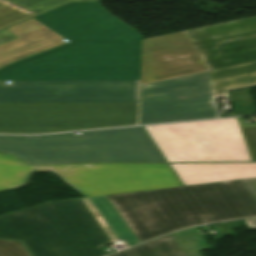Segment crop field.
Returning a JSON list of instances; mask_svg holds the SVG:
<instances>
[{
    "instance_id": "1",
    "label": "crop field",
    "mask_w": 256,
    "mask_h": 256,
    "mask_svg": "<svg viewBox=\"0 0 256 256\" xmlns=\"http://www.w3.org/2000/svg\"><path fill=\"white\" fill-rule=\"evenodd\" d=\"M36 20L70 42L0 69V103L138 102L140 35L97 2Z\"/></svg>"
},
{
    "instance_id": "2",
    "label": "crop field",
    "mask_w": 256,
    "mask_h": 256,
    "mask_svg": "<svg viewBox=\"0 0 256 256\" xmlns=\"http://www.w3.org/2000/svg\"><path fill=\"white\" fill-rule=\"evenodd\" d=\"M0 238L20 240L34 256H104L119 239L139 243L107 196L45 203L0 217Z\"/></svg>"
},
{
    "instance_id": "3",
    "label": "crop field",
    "mask_w": 256,
    "mask_h": 256,
    "mask_svg": "<svg viewBox=\"0 0 256 256\" xmlns=\"http://www.w3.org/2000/svg\"><path fill=\"white\" fill-rule=\"evenodd\" d=\"M108 197L140 242L191 225L256 216L239 180Z\"/></svg>"
},
{
    "instance_id": "4",
    "label": "crop field",
    "mask_w": 256,
    "mask_h": 256,
    "mask_svg": "<svg viewBox=\"0 0 256 256\" xmlns=\"http://www.w3.org/2000/svg\"><path fill=\"white\" fill-rule=\"evenodd\" d=\"M256 61V17L142 41L141 84Z\"/></svg>"
},
{
    "instance_id": "5",
    "label": "crop field",
    "mask_w": 256,
    "mask_h": 256,
    "mask_svg": "<svg viewBox=\"0 0 256 256\" xmlns=\"http://www.w3.org/2000/svg\"><path fill=\"white\" fill-rule=\"evenodd\" d=\"M0 152L34 163L166 162L142 127L43 136H0Z\"/></svg>"
},
{
    "instance_id": "6",
    "label": "crop field",
    "mask_w": 256,
    "mask_h": 256,
    "mask_svg": "<svg viewBox=\"0 0 256 256\" xmlns=\"http://www.w3.org/2000/svg\"><path fill=\"white\" fill-rule=\"evenodd\" d=\"M256 85V62L141 86L140 124L217 117L213 100Z\"/></svg>"
},
{
    "instance_id": "7",
    "label": "crop field",
    "mask_w": 256,
    "mask_h": 256,
    "mask_svg": "<svg viewBox=\"0 0 256 256\" xmlns=\"http://www.w3.org/2000/svg\"><path fill=\"white\" fill-rule=\"evenodd\" d=\"M31 172H53L84 197L181 186L167 164L29 165L0 154V190L23 185Z\"/></svg>"
},
{
    "instance_id": "8",
    "label": "crop field",
    "mask_w": 256,
    "mask_h": 256,
    "mask_svg": "<svg viewBox=\"0 0 256 256\" xmlns=\"http://www.w3.org/2000/svg\"><path fill=\"white\" fill-rule=\"evenodd\" d=\"M138 103L0 104V133L38 134L137 124Z\"/></svg>"
},
{
    "instance_id": "9",
    "label": "crop field",
    "mask_w": 256,
    "mask_h": 256,
    "mask_svg": "<svg viewBox=\"0 0 256 256\" xmlns=\"http://www.w3.org/2000/svg\"><path fill=\"white\" fill-rule=\"evenodd\" d=\"M145 128L168 162L251 161L237 118Z\"/></svg>"
},
{
    "instance_id": "10",
    "label": "crop field",
    "mask_w": 256,
    "mask_h": 256,
    "mask_svg": "<svg viewBox=\"0 0 256 256\" xmlns=\"http://www.w3.org/2000/svg\"><path fill=\"white\" fill-rule=\"evenodd\" d=\"M18 38L0 44V66L64 43L62 37L31 18L7 28Z\"/></svg>"
},
{
    "instance_id": "11",
    "label": "crop field",
    "mask_w": 256,
    "mask_h": 256,
    "mask_svg": "<svg viewBox=\"0 0 256 256\" xmlns=\"http://www.w3.org/2000/svg\"><path fill=\"white\" fill-rule=\"evenodd\" d=\"M185 186L256 177L255 163L170 164Z\"/></svg>"
},
{
    "instance_id": "12",
    "label": "crop field",
    "mask_w": 256,
    "mask_h": 256,
    "mask_svg": "<svg viewBox=\"0 0 256 256\" xmlns=\"http://www.w3.org/2000/svg\"><path fill=\"white\" fill-rule=\"evenodd\" d=\"M111 256H187L173 235L128 249Z\"/></svg>"
},
{
    "instance_id": "13",
    "label": "crop field",
    "mask_w": 256,
    "mask_h": 256,
    "mask_svg": "<svg viewBox=\"0 0 256 256\" xmlns=\"http://www.w3.org/2000/svg\"><path fill=\"white\" fill-rule=\"evenodd\" d=\"M189 256H201L198 250L209 249L210 246L196 227L174 232Z\"/></svg>"
},
{
    "instance_id": "14",
    "label": "crop field",
    "mask_w": 256,
    "mask_h": 256,
    "mask_svg": "<svg viewBox=\"0 0 256 256\" xmlns=\"http://www.w3.org/2000/svg\"><path fill=\"white\" fill-rule=\"evenodd\" d=\"M35 16V14L24 10L7 1L0 0V28Z\"/></svg>"
},
{
    "instance_id": "15",
    "label": "crop field",
    "mask_w": 256,
    "mask_h": 256,
    "mask_svg": "<svg viewBox=\"0 0 256 256\" xmlns=\"http://www.w3.org/2000/svg\"><path fill=\"white\" fill-rule=\"evenodd\" d=\"M38 14L51 10L70 1H121V0H10Z\"/></svg>"
},
{
    "instance_id": "16",
    "label": "crop field",
    "mask_w": 256,
    "mask_h": 256,
    "mask_svg": "<svg viewBox=\"0 0 256 256\" xmlns=\"http://www.w3.org/2000/svg\"><path fill=\"white\" fill-rule=\"evenodd\" d=\"M26 250L20 242L0 241V256H30Z\"/></svg>"
},
{
    "instance_id": "17",
    "label": "crop field",
    "mask_w": 256,
    "mask_h": 256,
    "mask_svg": "<svg viewBox=\"0 0 256 256\" xmlns=\"http://www.w3.org/2000/svg\"><path fill=\"white\" fill-rule=\"evenodd\" d=\"M245 136L251 160L256 161V128L242 129Z\"/></svg>"
},
{
    "instance_id": "18",
    "label": "crop field",
    "mask_w": 256,
    "mask_h": 256,
    "mask_svg": "<svg viewBox=\"0 0 256 256\" xmlns=\"http://www.w3.org/2000/svg\"><path fill=\"white\" fill-rule=\"evenodd\" d=\"M253 200L256 202V178L240 180Z\"/></svg>"
},
{
    "instance_id": "19",
    "label": "crop field",
    "mask_w": 256,
    "mask_h": 256,
    "mask_svg": "<svg viewBox=\"0 0 256 256\" xmlns=\"http://www.w3.org/2000/svg\"><path fill=\"white\" fill-rule=\"evenodd\" d=\"M246 222L250 228H256V219H249Z\"/></svg>"
}]
</instances>
